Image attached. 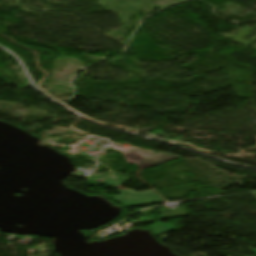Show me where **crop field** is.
Segmentation results:
<instances>
[{
	"label": "crop field",
	"instance_id": "1",
	"mask_svg": "<svg viewBox=\"0 0 256 256\" xmlns=\"http://www.w3.org/2000/svg\"><path fill=\"white\" fill-rule=\"evenodd\" d=\"M110 145L113 149L122 151L126 160L132 164H137L140 169H144L150 166H154L169 160H173L176 158H179V156H176L174 154L170 153H157L154 154L150 151H144L140 149H134V148H126V147H120L118 144H114L110 142Z\"/></svg>",
	"mask_w": 256,
	"mask_h": 256
},
{
	"label": "crop field",
	"instance_id": "7",
	"mask_svg": "<svg viewBox=\"0 0 256 256\" xmlns=\"http://www.w3.org/2000/svg\"><path fill=\"white\" fill-rule=\"evenodd\" d=\"M252 252L256 255V249H255V250H252Z\"/></svg>",
	"mask_w": 256,
	"mask_h": 256
},
{
	"label": "crop field",
	"instance_id": "6",
	"mask_svg": "<svg viewBox=\"0 0 256 256\" xmlns=\"http://www.w3.org/2000/svg\"><path fill=\"white\" fill-rule=\"evenodd\" d=\"M80 141H81V140H80ZM82 142H84V141H81V142H79V143H77V144L71 146L73 149H72L71 151L67 152V153H71V154H73L74 152H75V153H78L79 150L76 149L75 146L78 145V144H80V143H82Z\"/></svg>",
	"mask_w": 256,
	"mask_h": 256
},
{
	"label": "crop field",
	"instance_id": "4",
	"mask_svg": "<svg viewBox=\"0 0 256 256\" xmlns=\"http://www.w3.org/2000/svg\"><path fill=\"white\" fill-rule=\"evenodd\" d=\"M126 181H127L126 179H122V178H119V177L113 175L108 180H106L103 184L118 188L119 186H121Z\"/></svg>",
	"mask_w": 256,
	"mask_h": 256
},
{
	"label": "crop field",
	"instance_id": "2",
	"mask_svg": "<svg viewBox=\"0 0 256 256\" xmlns=\"http://www.w3.org/2000/svg\"><path fill=\"white\" fill-rule=\"evenodd\" d=\"M121 196L114 199L125 207L143 206L152 203L168 202L157 190L136 193L126 188H119Z\"/></svg>",
	"mask_w": 256,
	"mask_h": 256
},
{
	"label": "crop field",
	"instance_id": "5",
	"mask_svg": "<svg viewBox=\"0 0 256 256\" xmlns=\"http://www.w3.org/2000/svg\"><path fill=\"white\" fill-rule=\"evenodd\" d=\"M110 176H93L91 179L88 180V184L94 183L96 180L99 181V183L103 182L105 179H107Z\"/></svg>",
	"mask_w": 256,
	"mask_h": 256
},
{
	"label": "crop field",
	"instance_id": "3",
	"mask_svg": "<svg viewBox=\"0 0 256 256\" xmlns=\"http://www.w3.org/2000/svg\"><path fill=\"white\" fill-rule=\"evenodd\" d=\"M149 228L153 234H155L157 236H161L160 238L164 237L162 235L169 231L177 230L174 226H172L169 223L164 224V225L156 224V225L150 226Z\"/></svg>",
	"mask_w": 256,
	"mask_h": 256
}]
</instances>
